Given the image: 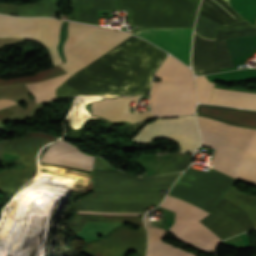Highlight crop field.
Here are the masks:
<instances>
[{"mask_svg":"<svg viewBox=\"0 0 256 256\" xmlns=\"http://www.w3.org/2000/svg\"><path fill=\"white\" fill-rule=\"evenodd\" d=\"M181 173L166 176L142 178L123 172L93 171V190H156L170 188ZM164 193L156 191H93L78 199V211L141 213L150 204L158 205ZM107 215H140L126 213H95ZM82 215L74 214L68 227L74 232L81 231L86 221L123 223L124 221L144 227L142 217Z\"/></svg>","mask_w":256,"mask_h":256,"instance_id":"crop-field-1","label":"crop field"},{"mask_svg":"<svg viewBox=\"0 0 256 256\" xmlns=\"http://www.w3.org/2000/svg\"><path fill=\"white\" fill-rule=\"evenodd\" d=\"M159 206L175 212L176 223L169 231L180 241L210 252H214L219 241L256 227V196L246 195L233 186L211 214L169 195ZM200 219L221 240L199 223Z\"/></svg>","mask_w":256,"mask_h":256,"instance_id":"crop-field-2","label":"crop field"},{"mask_svg":"<svg viewBox=\"0 0 256 256\" xmlns=\"http://www.w3.org/2000/svg\"><path fill=\"white\" fill-rule=\"evenodd\" d=\"M60 25L61 21L55 19L18 18L0 15V37L29 38L46 45L49 48L52 62L55 66L62 63L56 50ZM110 31L112 29L69 22V38L63 47L65 57H70ZM128 36L130 34L114 30L66 59L67 62L60 65V67L71 75L121 43Z\"/></svg>","mask_w":256,"mask_h":256,"instance_id":"crop-field-3","label":"crop field"},{"mask_svg":"<svg viewBox=\"0 0 256 256\" xmlns=\"http://www.w3.org/2000/svg\"><path fill=\"white\" fill-rule=\"evenodd\" d=\"M166 55V52L132 35L97 60L149 86L151 76ZM97 60L72 76L102 92L149 93V87Z\"/></svg>","mask_w":256,"mask_h":256,"instance_id":"crop-field-4","label":"crop field"},{"mask_svg":"<svg viewBox=\"0 0 256 256\" xmlns=\"http://www.w3.org/2000/svg\"><path fill=\"white\" fill-rule=\"evenodd\" d=\"M155 76L151 106L157 116H174L194 113L195 93L192 73L177 60L168 56Z\"/></svg>","mask_w":256,"mask_h":256,"instance_id":"crop-field-5","label":"crop field"},{"mask_svg":"<svg viewBox=\"0 0 256 256\" xmlns=\"http://www.w3.org/2000/svg\"><path fill=\"white\" fill-rule=\"evenodd\" d=\"M128 23L146 27H192L199 0H117Z\"/></svg>","mask_w":256,"mask_h":256,"instance_id":"crop-field-6","label":"crop field"},{"mask_svg":"<svg viewBox=\"0 0 256 256\" xmlns=\"http://www.w3.org/2000/svg\"><path fill=\"white\" fill-rule=\"evenodd\" d=\"M235 182L237 180L213 169L205 173L188 168L175 182L169 195L191 202L210 213Z\"/></svg>","mask_w":256,"mask_h":256,"instance_id":"crop-field-7","label":"crop field"},{"mask_svg":"<svg viewBox=\"0 0 256 256\" xmlns=\"http://www.w3.org/2000/svg\"><path fill=\"white\" fill-rule=\"evenodd\" d=\"M196 117L203 137V145L216 149L210 162L213 164L212 168L229 175L251 129Z\"/></svg>","mask_w":256,"mask_h":256,"instance_id":"crop-field-8","label":"crop field"},{"mask_svg":"<svg viewBox=\"0 0 256 256\" xmlns=\"http://www.w3.org/2000/svg\"><path fill=\"white\" fill-rule=\"evenodd\" d=\"M167 137L181 147V152H193L200 144L195 117L156 119L144 125L132 140L147 143L155 138Z\"/></svg>","mask_w":256,"mask_h":256,"instance_id":"crop-field-9","label":"crop field"},{"mask_svg":"<svg viewBox=\"0 0 256 256\" xmlns=\"http://www.w3.org/2000/svg\"><path fill=\"white\" fill-rule=\"evenodd\" d=\"M82 251L90 256H127L128 251H137L136 256H144L146 252L145 228L133 230L120 225L103 239L87 243Z\"/></svg>","mask_w":256,"mask_h":256,"instance_id":"crop-field-10","label":"crop field"},{"mask_svg":"<svg viewBox=\"0 0 256 256\" xmlns=\"http://www.w3.org/2000/svg\"><path fill=\"white\" fill-rule=\"evenodd\" d=\"M193 29H145L134 34L139 35L189 65L190 40ZM166 51V52H167Z\"/></svg>","mask_w":256,"mask_h":256,"instance_id":"crop-field-11","label":"crop field"},{"mask_svg":"<svg viewBox=\"0 0 256 256\" xmlns=\"http://www.w3.org/2000/svg\"><path fill=\"white\" fill-rule=\"evenodd\" d=\"M196 114L233 125L256 129V111L213 105H197Z\"/></svg>","mask_w":256,"mask_h":256,"instance_id":"crop-field-12","label":"crop field"},{"mask_svg":"<svg viewBox=\"0 0 256 256\" xmlns=\"http://www.w3.org/2000/svg\"><path fill=\"white\" fill-rule=\"evenodd\" d=\"M138 97H110L98 117H102L108 121H133L135 123H142L147 117H152L151 112L131 113L129 112L130 101H136Z\"/></svg>","mask_w":256,"mask_h":256,"instance_id":"crop-field-13","label":"crop field"},{"mask_svg":"<svg viewBox=\"0 0 256 256\" xmlns=\"http://www.w3.org/2000/svg\"><path fill=\"white\" fill-rule=\"evenodd\" d=\"M230 176L256 184V130H251Z\"/></svg>","mask_w":256,"mask_h":256,"instance_id":"crop-field-14","label":"crop field"},{"mask_svg":"<svg viewBox=\"0 0 256 256\" xmlns=\"http://www.w3.org/2000/svg\"><path fill=\"white\" fill-rule=\"evenodd\" d=\"M74 21L96 24L97 11L116 10L115 0H72Z\"/></svg>","mask_w":256,"mask_h":256,"instance_id":"crop-field-15","label":"crop field"},{"mask_svg":"<svg viewBox=\"0 0 256 256\" xmlns=\"http://www.w3.org/2000/svg\"><path fill=\"white\" fill-rule=\"evenodd\" d=\"M199 14L225 26L243 19L223 0H202Z\"/></svg>","mask_w":256,"mask_h":256,"instance_id":"crop-field-16","label":"crop field"},{"mask_svg":"<svg viewBox=\"0 0 256 256\" xmlns=\"http://www.w3.org/2000/svg\"><path fill=\"white\" fill-rule=\"evenodd\" d=\"M58 11L57 0H39L33 4L13 5L0 3V13L19 16H47Z\"/></svg>","mask_w":256,"mask_h":256,"instance_id":"crop-field-17","label":"crop field"},{"mask_svg":"<svg viewBox=\"0 0 256 256\" xmlns=\"http://www.w3.org/2000/svg\"><path fill=\"white\" fill-rule=\"evenodd\" d=\"M209 103L256 109V94L213 89Z\"/></svg>","mask_w":256,"mask_h":256,"instance_id":"crop-field-18","label":"crop field"},{"mask_svg":"<svg viewBox=\"0 0 256 256\" xmlns=\"http://www.w3.org/2000/svg\"><path fill=\"white\" fill-rule=\"evenodd\" d=\"M147 228L149 237L147 256H195L184 250L162 242L161 238L166 233L165 230L149 226H147Z\"/></svg>","mask_w":256,"mask_h":256,"instance_id":"crop-field-19","label":"crop field"},{"mask_svg":"<svg viewBox=\"0 0 256 256\" xmlns=\"http://www.w3.org/2000/svg\"><path fill=\"white\" fill-rule=\"evenodd\" d=\"M70 76L67 74L44 81L38 84H25L34 94L35 102L55 98V89Z\"/></svg>","mask_w":256,"mask_h":256,"instance_id":"crop-field-20","label":"crop field"},{"mask_svg":"<svg viewBox=\"0 0 256 256\" xmlns=\"http://www.w3.org/2000/svg\"><path fill=\"white\" fill-rule=\"evenodd\" d=\"M245 35H256V27L246 22L235 23L218 29L215 33V39Z\"/></svg>","mask_w":256,"mask_h":256,"instance_id":"crop-field-21","label":"crop field"},{"mask_svg":"<svg viewBox=\"0 0 256 256\" xmlns=\"http://www.w3.org/2000/svg\"><path fill=\"white\" fill-rule=\"evenodd\" d=\"M190 160L191 156L186 153L173 154L153 176L183 171L189 165Z\"/></svg>","mask_w":256,"mask_h":256,"instance_id":"crop-field-22","label":"crop field"},{"mask_svg":"<svg viewBox=\"0 0 256 256\" xmlns=\"http://www.w3.org/2000/svg\"><path fill=\"white\" fill-rule=\"evenodd\" d=\"M63 73H66V72L63 71L60 67L55 66L50 69L36 73L35 75H32V76L14 78V79H9V80H1L0 79V86L17 84V83L39 82V81L63 74Z\"/></svg>","mask_w":256,"mask_h":256,"instance_id":"crop-field-23","label":"crop field"},{"mask_svg":"<svg viewBox=\"0 0 256 256\" xmlns=\"http://www.w3.org/2000/svg\"><path fill=\"white\" fill-rule=\"evenodd\" d=\"M222 27L221 24L198 14L195 31L207 37L214 38L215 30Z\"/></svg>","mask_w":256,"mask_h":256,"instance_id":"crop-field-24","label":"crop field"},{"mask_svg":"<svg viewBox=\"0 0 256 256\" xmlns=\"http://www.w3.org/2000/svg\"><path fill=\"white\" fill-rule=\"evenodd\" d=\"M216 58L219 68L235 67L232 63L224 39L215 40Z\"/></svg>","mask_w":256,"mask_h":256,"instance_id":"crop-field-25","label":"crop field"},{"mask_svg":"<svg viewBox=\"0 0 256 256\" xmlns=\"http://www.w3.org/2000/svg\"><path fill=\"white\" fill-rule=\"evenodd\" d=\"M195 80L198 93V102L208 103L214 84L209 83L205 76L196 77Z\"/></svg>","mask_w":256,"mask_h":256,"instance_id":"crop-field-26","label":"crop field"},{"mask_svg":"<svg viewBox=\"0 0 256 256\" xmlns=\"http://www.w3.org/2000/svg\"><path fill=\"white\" fill-rule=\"evenodd\" d=\"M64 83L83 93H100V91L92 88L91 86L79 81L78 79L72 76Z\"/></svg>","mask_w":256,"mask_h":256,"instance_id":"crop-field-27","label":"crop field"},{"mask_svg":"<svg viewBox=\"0 0 256 256\" xmlns=\"http://www.w3.org/2000/svg\"><path fill=\"white\" fill-rule=\"evenodd\" d=\"M13 114H15V113L12 112V111H9V110H7V109L1 110V111H0V120L6 118V117H8V116H11V115H13Z\"/></svg>","mask_w":256,"mask_h":256,"instance_id":"crop-field-28","label":"crop field"},{"mask_svg":"<svg viewBox=\"0 0 256 256\" xmlns=\"http://www.w3.org/2000/svg\"><path fill=\"white\" fill-rule=\"evenodd\" d=\"M13 104H16V103L8 99L0 100V109Z\"/></svg>","mask_w":256,"mask_h":256,"instance_id":"crop-field-29","label":"crop field"},{"mask_svg":"<svg viewBox=\"0 0 256 256\" xmlns=\"http://www.w3.org/2000/svg\"><path fill=\"white\" fill-rule=\"evenodd\" d=\"M228 2V0H226Z\"/></svg>","mask_w":256,"mask_h":256,"instance_id":"crop-field-30","label":"crop field"}]
</instances>
